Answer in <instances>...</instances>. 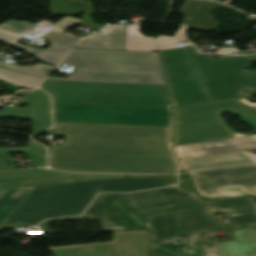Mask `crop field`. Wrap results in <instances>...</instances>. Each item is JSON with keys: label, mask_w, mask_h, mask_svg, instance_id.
<instances>
[{"label": "crop field", "mask_w": 256, "mask_h": 256, "mask_svg": "<svg viewBox=\"0 0 256 256\" xmlns=\"http://www.w3.org/2000/svg\"><path fill=\"white\" fill-rule=\"evenodd\" d=\"M72 66L76 68V73L70 75L69 79H58V78H47V79L85 81L82 67L75 66V65H72Z\"/></svg>", "instance_id": "26"}, {"label": "crop field", "mask_w": 256, "mask_h": 256, "mask_svg": "<svg viewBox=\"0 0 256 256\" xmlns=\"http://www.w3.org/2000/svg\"><path fill=\"white\" fill-rule=\"evenodd\" d=\"M149 231L114 232L113 242L53 247L55 256H147Z\"/></svg>", "instance_id": "8"}, {"label": "crop field", "mask_w": 256, "mask_h": 256, "mask_svg": "<svg viewBox=\"0 0 256 256\" xmlns=\"http://www.w3.org/2000/svg\"><path fill=\"white\" fill-rule=\"evenodd\" d=\"M196 190L205 198L256 195V164L191 174Z\"/></svg>", "instance_id": "7"}, {"label": "crop field", "mask_w": 256, "mask_h": 256, "mask_svg": "<svg viewBox=\"0 0 256 256\" xmlns=\"http://www.w3.org/2000/svg\"><path fill=\"white\" fill-rule=\"evenodd\" d=\"M53 15L76 14L84 12L93 14L91 4L80 0H50Z\"/></svg>", "instance_id": "21"}, {"label": "crop field", "mask_w": 256, "mask_h": 256, "mask_svg": "<svg viewBox=\"0 0 256 256\" xmlns=\"http://www.w3.org/2000/svg\"><path fill=\"white\" fill-rule=\"evenodd\" d=\"M236 101H238V100H236ZM239 102V101H238ZM240 103V102H239ZM242 104V103H241ZM244 105V104H243ZM246 106V105H245ZM256 110V109H255Z\"/></svg>", "instance_id": "31"}, {"label": "crop field", "mask_w": 256, "mask_h": 256, "mask_svg": "<svg viewBox=\"0 0 256 256\" xmlns=\"http://www.w3.org/2000/svg\"><path fill=\"white\" fill-rule=\"evenodd\" d=\"M129 177H150V178L159 179V180H172L177 182L175 175H172V176L125 175V178H129Z\"/></svg>", "instance_id": "29"}, {"label": "crop field", "mask_w": 256, "mask_h": 256, "mask_svg": "<svg viewBox=\"0 0 256 256\" xmlns=\"http://www.w3.org/2000/svg\"><path fill=\"white\" fill-rule=\"evenodd\" d=\"M241 102L249 105V106H255L256 104H253V103H250L248 100H246L245 98L244 99H240Z\"/></svg>", "instance_id": "30"}, {"label": "crop field", "mask_w": 256, "mask_h": 256, "mask_svg": "<svg viewBox=\"0 0 256 256\" xmlns=\"http://www.w3.org/2000/svg\"><path fill=\"white\" fill-rule=\"evenodd\" d=\"M32 188L0 190V229L19 207Z\"/></svg>", "instance_id": "19"}, {"label": "crop field", "mask_w": 256, "mask_h": 256, "mask_svg": "<svg viewBox=\"0 0 256 256\" xmlns=\"http://www.w3.org/2000/svg\"><path fill=\"white\" fill-rule=\"evenodd\" d=\"M185 28L180 26L174 37L147 38L139 34V25L128 26L125 50L158 52L157 48L185 42Z\"/></svg>", "instance_id": "13"}, {"label": "crop field", "mask_w": 256, "mask_h": 256, "mask_svg": "<svg viewBox=\"0 0 256 256\" xmlns=\"http://www.w3.org/2000/svg\"><path fill=\"white\" fill-rule=\"evenodd\" d=\"M75 182L72 179H48L39 177H23L15 176L0 180V189L6 188H18V187H29V186H42L62 183Z\"/></svg>", "instance_id": "20"}, {"label": "crop field", "mask_w": 256, "mask_h": 256, "mask_svg": "<svg viewBox=\"0 0 256 256\" xmlns=\"http://www.w3.org/2000/svg\"><path fill=\"white\" fill-rule=\"evenodd\" d=\"M0 79L4 80L12 85L33 89L35 88L42 78L6 70L0 68Z\"/></svg>", "instance_id": "22"}, {"label": "crop field", "mask_w": 256, "mask_h": 256, "mask_svg": "<svg viewBox=\"0 0 256 256\" xmlns=\"http://www.w3.org/2000/svg\"><path fill=\"white\" fill-rule=\"evenodd\" d=\"M42 36L51 42L50 48L47 50H41L37 47L31 49L18 45L16 43L23 37L0 31V41L6 42L7 45L25 50L28 54L53 66H55L78 41V39L65 35L57 30H51Z\"/></svg>", "instance_id": "10"}, {"label": "crop field", "mask_w": 256, "mask_h": 256, "mask_svg": "<svg viewBox=\"0 0 256 256\" xmlns=\"http://www.w3.org/2000/svg\"><path fill=\"white\" fill-rule=\"evenodd\" d=\"M34 24L27 23V22H16L14 20H11L7 23H4L0 25V29L7 30L10 32H14L17 34H21L26 31H34Z\"/></svg>", "instance_id": "24"}, {"label": "crop field", "mask_w": 256, "mask_h": 256, "mask_svg": "<svg viewBox=\"0 0 256 256\" xmlns=\"http://www.w3.org/2000/svg\"><path fill=\"white\" fill-rule=\"evenodd\" d=\"M34 175V176H44L48 178H59L68 177L77 181H88L104 178H124V175H111V174H68L62 172H56L52 170L34 168V169H20V170H5L0 171V178L12 175Z\"/></svg>", "instance_id": "17"}, {"label": "crop field", "mask_w": 256, "mask_h": 256, "mask_svg": "<svg viewBox=\"0 0 256 256\" xmlns=\"http://www.w3.org/2000/svg\"><path fill=\"white\" fill-rule=\"evenodd\" d=\"M0 67L44 78L52 69L40 65L19 67L0 61Z\"/></svg>", "instance_id": "23"}, {"label": "crop field", "mask_w": 256, "mask_h": 256, "mask_svg": "<svg viewBox=\"0 0 256 256\" xmlns=\"http://www.w3.org/2000/svg\"><path fill=\"white\" fill-rule=\"evenodd\" d=\"M15 96H23L24 103L29 108H4L0 111L2 117H18L31 119L34 122L32 134L41 132L51 126L49 96L42 91H21Z\"/></svg>", "instance_id": "9"}, {"label": "crop field", "mask_w": 256, "mask_h": 256, "mask_svg": "<svg viewBox=\"0 0 256 256\" xmlns=\"http://www.w3.org/2000/svg\"><path fill=\"white\" fill-rule=\"evenodd\" d=\"M254 162L245 151L180 161L185 172L234 166Z\"/></svg>", "instance_id": "14"}, {"label": "crop field", "mask_w": 256, "mask_h": 256, "mask_svg": "<svg viewBox=\"0 0 256 256\" xmlns=\"http://www.w3.org/2000/svg\"><path fill=\"white\" fill-rule=\"evenodd\" d=\"M172 107L243 98L241 89L256 92V72L246 71L256 56L211 59L195 47L159 51Z\"/></svg>", "instance_id": "4"}, {"label": "crop field", "mask_w": 256, "mask_h": 256, "mask_svg": "<svg viewBox=\"0 0 256 256\" xmlns=\"http://www.w3.org/2000/svg\"><path fill=\"white\" fill-rule=\"evenodd\" d=\"M63 62L83 66L86 81L166 85L158 53L74 49Z\"/></svg>", "instance_id": "6"}, {"label": "crop field", "mask_w": 256, "mask_h": 256, "mask_svg": "<svg viewBox=\"0 0 256 256\" xmlns=\"http://www.w3.org/2000/svg\"><path fill=\"white\" fill-rule=\"evenodd\" d=\"M178 177L180 184L183 186V188L187 190L193 189V185L188 174L178 175Z\"/></svg>", "instance_id": "28"}, {"label": "crop field", "mask_w": 256, "mask_h": 256, "mask_svg": "<svg viewBox=\"0 0 256 256\" xmlns=\"http://www.w3.org/2000/svg\"><path fill=\"white\" fill-rule=\"evenodd\" d=\"M9 152H24L29 156L31 166H46V153L43 146L28 142V148H0V169L16 167Z\"/></svg>", "instance_id": "18"}, {"label": "crop field", "mask_w": 256, "mask_h": 256, "mask_svg": "<svg viewBox=\"0 0 256 256\" xmlns=\"http://www.w3.org/2000/svg\"><path fill=\"white\" fill-rule=\"evenodd\" d=\"M65 144L49 149L50 167L79 172L181 173L171 128L55 122Z\"/></svg>", "instance_id": "2"}, {"label": "crop field", "mask_w": 256, "mask_h": 256, "mask_svg": "<svg viewBox=\"0 0 256 256\" xmlns=\"http://www.w3.org/2000/svg\"><path fill=\"white\" fill-rule=\"evenodd\" d=\"M55 121L171 126L165 86L45 80Z\"/></svg>", "instance_id": "3"}, {"label": "crop field", "mask_w": 256, "mask_h": 256, "mask_svg": "<svg viewBox=\"0 0 256 256\" xmlns=\"http://www.w3.org/2000/svg\"><path fill=\"white\" fill-rule=\"evenodd\" d=\"M174 148L179 160L256 149V135L236 139L181 145Z\"/></svg>", "instance_id": "11"}, {"label": "crop field", "mask_w": 256, "mask_h": 256, "mask_svg": "<svg viewBox=\"0 0 256 256\" xmlns=\"http://www.w3.org/2000/svg\"><path fill=\"white\" fill-rule=\"evenodd\" d=\"M214 7L230 9L246 16V13L218 2L187 0L179 10L180 13L185 14L183 25L191 29L213 31L220 26V22L214 20L210 14Z\"/></svg>", "instance_id": "12"}, {"label": "crop field", "mask_w": 256, "mask_h": 256, "mask_svg": "<svg viewBox=\"0 0 256 256\" xmlns=\"http://www.w3.org/2000/svg\"><path fill=\"white\" fill-rule=\"evenodd\" d=\"M152 179H113L34 187L3 228L39 224L61 216H80L98 192H128L174 185Z\"/></svg>", "instance_id": "5"}, {"label": "crop field", "mask_w": 256, "mask_h": 256, "mask_svg": "<svg viewBox=\"0 0 256 256\" xmlns=\"http://www.w3.org/2000/svg\"><path fill=\"white\" fill-rule=\"evenodd\" d=\"M219 211H226L231 228L256 225L254 199L204 200L180 186L100 194L83 217L102 219L106 231L149 230L148 256H219L200 236L220 229L212 214Z\"/></svg>", "instance_id": "1"}, {"label": "crop field", "mask_w": 256, "mask_h": 256, "mask_svg": "<svg viewBox=\"0 0 256 256\" xmlns=\"http://www.w3.org/2000/svg\"><path fill=\"white\" fill-rule=\"evenodd\" d=\"M82 18L84 20L79 22L78 25L91 27V28H95V29H99L104 26V25H100V24H95L91 15H84V16H82Z\"/></svg>", "instance_id": "27"}, {"label": "crop field", "mask_w": 256, "mask_h": 256, "mask_svg": "<svg viewBox=\"0 0 256 256\" xmlns=\"http://www.w3.org/2000/svg\"><path fill=\"white\" fill-rule=\"evenodd\" d=\"M234 240L217 243L223 256H256V229L232 231Z\"/></svg>", "instance_id": "15"}, {"label": "crop field", "mask_w": 256, "mask_h": 256, "mask_svg": "<svg viewBox=\"0 0 256 256\" xmlns=\"http://www.w3.org/2000/svg\"><path fill=\"white\" fill-rule=\"evenodd\" d=\"M79 21H81V20H77V19L67 17V18L53 24L50 27L63 31L65 29H67L68 27L78 23Z\"/></svg>", "instance_id": "25"}, {"label": "crop field", "mask_w": 256, "mask_h": 256, "mask_svg": "<svg viewBox=\"0 0 256 256\" xmlns=\"http://www.w3.org/2000/svg\"><path fill=\"white\" fill-rule=\"evenodd\" d=\"M127 26H116L106 29L84 39L77 48L124 50Z\"/></svg>", "instance_id": "16"}]
</instances>
